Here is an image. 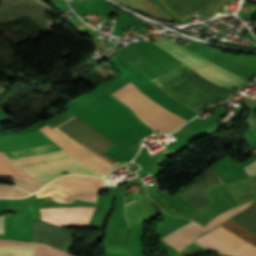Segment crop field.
<instances>
[{"instance_id":"214f88e0","label":"crop field","mask_w":256,"mask_h":256,"mask_svg":"<svg viewBox=\"0 0 256 256\" xmlns=\"http://www.w3.org/2000/svg\"><path fill=\"white\" fill-rule=\"evenodd\" d=\"M2 92H3V91H2V90H0V94H2Z\"/></svg>"},{"instance_id":"733c2abd","label":"crop field","mask_w":256,"mask_h":256,"mask_svg":"<svg viewBox=\"0 0 256 256\" xmlns=\"http://www.w3.org/2000/svg\"><path fill=\"white\" fill-rule=\"evenodd\" d=\"M4 218L0 219V232H3Z\"/></svg>"},{"instance_id":"dd49c442","label":"crop field","mask_w":256,"mask_h":256,"mask_svg":"<svg viewBox=\"0 0 256 256\" xmlns=\"http://www.w3.org/2000/svg\"><path fill=\"white\" fill-rule=\"evenodd\" d=\"M224 0H160L165 7L180 20H190L187 16L197 12L204 19L213 16L215 8Z\"/></svg>"},{"instance_id":"4a817a6b","label":"crop field","mask_w":256,"mask_h":256,"mask_svg":"<svg viewBox=\"0 0 256 256\" xmlns=\"http://www.w3.org/2000/svg\"><path fill=\"white\" fill-rule=\"evenodd\" d=\"M5 85V83H0V89L3 88Z\"/></svg>"},{"instance_id":"412701ff","label":"crop field","mask_w":256,"mask_h":256,"mask_svg":"<svg viewBox=\"0 0 256 256\" xmlns=\"http://www.w3.org/2000/svg\"><path fill=\"white\" fill-rule=\"evenodd\" d=\"M220 226L256 246V235L234 221L229 219ZM220 226L207 232L194 241L211 250L222 253L237 256H256V247Z\"/></svg>"},{"instance_id":"5a996713","label":"crop field","mask_w":256,"mask_h":256,"mask_svg":"<svg viewBox=\"0 0 256 256\" xmlns=\"http://www.w3.org/2000/svg\"><path fill=\"white\" fill-rule=\"evenodd\" d=\"M230 219L256 233V202L252 203L246 210L232 216Z\"/></svg>"},{"instance_id":"d8731c3e","label":"crop field","mask_w":256,"mask_h":256,"mask_svg":"<svg viewBox=\"0 0 256 256\" xmlns=\"http://www.w3.org/2000/svg\"><path fill=\"white\" fill-rule=\"evenodd\" d=\"M237 202L256 195V175L225 183Z\"/></svg>"},{"instance_id":"92a150f3","label":"crop field","mask_w":256,"mask_h":256,"mask_svg":"<svg viewBox=\"0 0 256 256\" xmlns=\"http://www.w3.org/2000/svg\"><path fill=\"white\" fill-rule=\"evenodd\" d=\"M254 201H256V198H255V200Z\"/></svg>"},{"instance_id":"5142ce71","label":"crop field","mask_w":256,"mask_h":256,"mask_svg":"<svg viewBox=\"0 0 256 256\" xmlns=\"http://www.w3.org/2000/svg\"><path fill=\"white\" fill-rule=\"evenodd\" d=\"M0 181L11 182L13 185H19V186H21V187H23V188H25V189H27L31 192H34L37 189H39V188H37V187H35L31 184H27V183L15 182V181H11V180H1V179H0Z\"/></svg>"},{"instance_id":"bc2a9ffb","label":"crop field","mask_w":256,"mask_h":256,"mask_svg":"<svg viewBox=\"0 0 256 256\" xmlns=\"http://www.w3.org/2000/svg\"><path fill=\"white\" fill-rule=\"evenodd\" d=\"M135 200H133V201H131V202H134ZM131 202H129V203H131ZM129 203H127V204H129ZM126 205V204H125Z\"/></svg>"},{"instance_id":"d9b57169","label":"crop field","mask_w":256,"mask_h":256,"mask_svg":"<svg viewBox=\"0 0 256 256\" xmlns=\"http://www.w3.org/2000/svg\"><path fill=\"white\" fill-rule=\"evenodd\" d=\"M249 176L256 174V161L244 168Z\"/></svg>"},{"instance_id":"cbeb9de0","label":"crop field","mask_w":256,"mask_h":256,"mask_svg":"<svg viewBox=\"0 0 256 256\" xmlns=\"http://www.w3.org/2000/svg\"><path fill=\"white\" fill-rule=\"evenodd\" d=\"M203 251H207V250L192 242L176 256H190V255L197 254V253H200Z\"/></svg>"},{"instance_id":"34b2d1b8","label":"crop field","mask_w":256,"mask_h":256,"mask_svg":"<svg viewBox=\"0 0 256 256\" xmlns=\"http://www.w3.org/2000/svg\"><path fill=\"white\" fill-rule=\"evenodd\" d=\"M150 81L194 110L229 92L203 79L184 64Z\"/></svg>"},{"instance_id":"ac0d7876","label":"crop field","mask_w":256,"mask_h":256,"mask_svg":"<svg viewBox=\"0 0 256 256\" xmlns=\"http://www.w3.org/2000/svg\"><path fill=\"white\" fill-rule=\"evenodd\" d=\"M77 117L117 144L102 152L111 158L152 130L143 124L129 107L111 95Z\"/></svg>"},{"instance_id":"22f410ed","label":"crop field","mask_w":256,"mask_h":256,"mask_svg":"<svg viewBox=\"0 0 256 256\" xmlns=\"http://www.w3.org/2000/svg\"><path fill=\"white\" fill-rule=\"evenodd\" d=\"M142 5L148 13L161 18L172 20L153 0H148L142 3Z\"/></svg>"},{"instance_id":"e52e79f7","label":"crop field","mask_w":256,"mask_h":256,"mask_svg":"<svg viewBox=\"0 0 256 256\" xmlns=\"http://www.w3.org/2000/svg\"><path fill=\"white\" fill-rule=\"evenodd\" d=\"M95 207H54L41 210V219L56 225L87 223Z\"/></svg>"},{"instance_id":"28ad6ade","label":"crop field","mask_w":256,"mask_h":256,"mask_svg":"<svg viewBox=\"0 0 256 256\" xmlns=\"http://www.w3.org/2000/svg\"><path fill=\"white\" fill-rule=\"evenodd\" d=\"M36 245L0 247V256H32Z\"/></svg>"},{"instance_id":"f4fd0767","label":"crop field","mask_w":256,"mask_h":256,"mask_svg":"<svg viewBox=\"0 0 256 256\" xmlns=\"http://www.w3.org/2000/svg\"><path fill=\"white\" fill-rule=\"evenodd\" d=\"M153 43L178 58L203 77L223 87H236L246 80L204 59L203 57L193 53L192 51L168 38L153 41Z\"/></svg>"},{"instance_id":"d1516ede","label":"crop field","mask_w":256,"mask_h":256,"mask_svg":"<svg viewBox=\"0 0 256 256\" xmlns=\"http://www.w3.org/2000/svg\"><path fill=\"white\" fill-rule=\"evenodd\" d=\"M251 202L243 204L241 206L235 207L233 209L227 210L223 213H221L220 215H218L215 219H213L209 224H207L205 227H207L208 229L214 228L215 226H217L218 224H220L221 222H223L224 220H226L227 218L231 217L232 215L236 214L237 212L245 209L246 207L249 206Z\"/></svg>"},{"instance_id":"8a807250","label":"crop field","mask_w":256,"mask_h":256,"mask_svg":"<svg viewBox=\"0 0 256 256\" xmlns=\"http://www.w3.org/2000/svg\"><path fill=\"white\" fill-rule=\"evenodd\" d=\"M59 149L38 130L24 134L0 136V150L10 159ZM13 161L44 185L55 177L67 173L101 176L100 173L80 163L62 150L13 159Z\"/></svg>"},{"instance_id":"3316defc","label":"crop field","mask_w":256,"mask_h":256,"mask_svg":"<svg viewBox=\"0 0 256 256\" xmlns=\"http://www.w3.org/2000/svg\"><path fill=\"white\" fill-rule=\"evenodd\" d=\"M27 244H35V243L0 240V246L27 245ZM33 256H74V255L62 252L60 250L51 248L49 246L38 244Z\"/></svg>"}]
</instances>
